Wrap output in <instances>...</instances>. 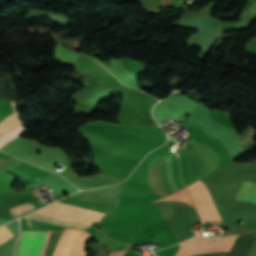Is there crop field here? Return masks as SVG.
I'll return each mask as SVG.
<instances>
[{
	"label": "crop field",
	"mask_w": 256,
	"mask_h": 256,
	"mask_svg": "<svg viewBox=\"0 0 256 256\" xmlns=\"http://www.w3.org/2000/svg\"><path fill=\"white\" fill-rule=\"evenodd\" d=\"M11 160H14V159L2 156V157H0V164L11 161Z\"/></svg>",
	"instance_id": "12"
},
{
	"label": "crop field",
	"mask_w": 256,
	"mask_h": 256,
	"mask_svg": "<svg viewBox=\"0 0 256 256\" xmlns=\"http://www.w3.org/2000/svg\"><path fill=\"white\" fill-rule=\"evenodd\" d=\"M12 103V106H13V110H14V113H16L17 112V110H16V106H15V103L14 102H11ZM16 115V114H15ZM14 116V115H13ZM12 116V117H13ZM11 118V117H10ZM9 118V119H10ZM9 119H7V120H9ZM6 120V121H7ZM5 121V122H6ZM4 123V122H3ZM2 123V124H3ZM21 123V121H20V118H19V116H18V114L16 115V116H14L12 119H10L9 121H7L6 123H4L2 126H0V137L3 135V134H5V133H7L8 131H10V130H12L13 128H15L17 125H19ZM1 125V124H0Z\"/></svg>",
	"instance_id": "7"
},
{
	"label": "crop field",
	"mask_w": 256,
	"mask_h": 256,
	"mask_svg": "<svg viewBox=\"0 0 256 256\" xmlns=\"http://www.w3.org/2000/svg\"><path fill=\"white\" fill-rule=\"evenodd\" d=\"M235 238V235L220 236L215 238L195 236L184 241L183 243H180V249L176 256H195L217 249L229 247Z\"/></svg>",
	"instance_id": "3"
},
{
	"label": "crop field",
	"mask_w": 256,
	"mask_h": 256,
	"mask_svg": "<svg viewBox=\"0 0 256 256\" xmlns=\"http://www.w3.org/2000/svg\"><path fill=\"white\" fill-rule=\"evenodd\" d=\"M236 199L256 203V183L243 181Z\"/></svg>",
	"instance_id": "6"
},
{
	"label": "crop field",
	"mask_w": 256,
	"mask_h": 256,
	"mask_svg": "<svg viewBox=\"0 0 256 256\" xmlns=\"http://www.w3.org/2000/svg\"><path fill=\"white\" fill-rule=\"evenodd\" d=\"M173 200L184 201L185 203H188V204L193 206L191 198H190L188 192L186 191V189H184V190H182L180 192H177L175 194H172V195H170L168 197H164V198L158 199L156 201H173ZM153 202H155V201H153Z\"/></svg>",
	"instance_id": "8"
},
{
	"label": "crop field",
	"mask_w": 256,
	"mask_h": 256,
	"mask_svg": "<svg viewBox=\"0 0 256 256\" xmlns=\"http://www.w3.org/2000/svg\"><path fill=\"white\" fill-rule=\"evenodd\" d=\"M21 206H23V205H21ZM18 207H20V206H18ZM18 207H16V208H18ZM16 208H13V209H16ZM13 209H10V211L13 210ZM33 209H35V206L33 205L32 202H30V203H27V205H25L23 207H20L16 210L11 211V213L14 217H16L18 215H21V214L26 213V212H28L30 210H33Z\"/></svg>",
	"instance_id": "10"
},
{
	"label": "crop field",
	"mask_w": 256,
	"mask_h": 256,
	"mask_svg": "<svg viewBox=\"0 0 256 256\" xmlns=\"http://www.w3.org/2000/svg\"><path fill=\"white\" fill-rule=\"evenodd\" d=\"M187 188L202 218V222L222 220L204 183L197 181Z\"/></svg>",
	"instance_id": "4"
},
{
	"label": "crop field",
	"mask_w": 256,
	"mask_h": 256,
	"mask_svg": "<svg viewBox=\"0 0 256 256\" xmlns=\"http://www.w3.org/2000/svg\"><path fill=\"white\" fill-rule=\"evenodd\" d=\"M25 130V128L21 125L17 126L15 129H13L12 131H10L9 133H7L5 136H3L2 138H0V147H2L3 145H5L6 143L10 142L11 140H13L14 138H16L17 136H19L20 134H22Z\"/></svg>",
	"instance_id": "9"
},
{
	"label": "crop field",
	"mask_w": 256,
	"mask_h": 256,
	"mask_svg": "<svg viewBox=\"0 0 256 256\" xmlns=\"http://www.w3.org/2000/svg\"><path fill=\"white\" fill-rule=\"evenodd\" d=\"M14 235L5 227L0 228V244L6 242L8 239L12 238Z\"/></svg>",
	"instance_id": "11"
},
{
	"label": "crop field",
	"mask_w": 256,
	"mask_h": 256,
	"mask_svg": "<svg viewBox=\"0 0 256 256\" xmlns=\"http://www.w3.org/2000/svg\"><path fill=\"white\" fill-rule=\"evenodd\" d=\"M133 256H140V255H133Z\"/></svg>",
	"instance_id": "13"
},
{
	"label": "crop field",
	"mask_w": 256,
	"mask_h": 256,
	"mask_svg": "<svg viewBox=\"0 0 256 256\" xmlns=\"http://www.w3.org/2000/svg\"><path fill=\"white\" fill-rule=\"evenodd\" d=\"M59 202H63V203H67V204H71V205H75V206H79V207H83V208H87V209H91V210H95V211H99V212H103V213H106V211L110 207L108 205L88 203V202H83V201L76 200L73 198H68V197L60 200ZM59 202L53 203L45 208L58 210V211L66 212V213H71V214H75V215H80V216L93 218V219H97V220H100L101 217L104 215L103 213H99V212H95V211H91V210H87V209H83V208H79V207H75V206H71V205H67V204H63V203H59ZM45 208H41V209L33 212V214L46 216V217H50V218H54V219H59V220H63V221H68V222H72V223H76V224H81V225H85V226H89V227H92L93 224L97 221V220L88 219V218L75 216V215H71V214H66V213L53 211V210H49V209H45ZM33 214H29V215L25 216L24 218H28V219H32V220H36V221H40V222L68 228V229H80V230H84V231L89 229V227L76 225V224H72V223H68V222H63V221H59V220H54V219H50V218H46V217H41V216H37V215H33Z\"/></svg>",
	"instance_id": "1"
},
{
	"label": "crop field",
	"mask_w": 256,
	"mask_h": 256,
	"mask_svg": "<svg viewBox=\"0 0 256 256\" xmlns=\"http://www.w3.org/2000/svg\"><path fill=\"white\" fill-rule=\"evenodd\" d=\"M47 232L23 231L17 256H40ZM60 232L48 231L41 256H51ZM91 236L79 230H72L68 256H87L84 246Z\"/></svg>",
	"instance_id": "2"
},
{
	"label": "crop field",
	"mask_w": 256,
	"mask_h": 256,
	"mask_svg": "<svg viewBox=\"0 0 256 256\" xmlns=\"http://www.w3.org/2000/svg\"><path fill=\"white\" fill-rule=\"evenodd\" d=\"M172 165H173V173H174V180L179 188V190L184 189V186L181 182L180 178V172H179V166H178V160L177 158L172 160ZM158 173H159V181L160 185L163 188L164 192L166 195L172 194V190L170 189L167 180H166V168L165 164L158 167Z\"/></svg>",
	"instance_id": "5"
}]
</instances>
